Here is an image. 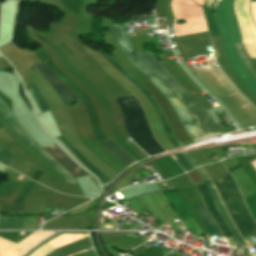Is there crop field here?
Segmentation results:
<instances>
[{
	"mask_svg": "<svg viewBox=\"0 0 256 256\" xmlns=\"http://www.w3.org/2000/svg\"><path fill=\"white\" fill-rule=\"evenodd\" d=\"M43 149L58 161L71 175L86 174L56 144L43 147Z\"/></svg>",
	"mask_w": 256,
	"mask_h": 256,
	"instance_id": "crop-field-9",
	"label": "crop field"
},
{
	"mask_svg": "<svg viewBox=\"0 0 256 256\" xmlns=\"http://www.w3.org/2000/svg\"><path fill=\"white\" fill-rule=\"evenodd\" d=\"M233 2L234 0H218L214 10V20L217 24L230 68L256 98V80L241 61L234 46V44L242 43V41L233 13Z\"/></svg>",
	"mask_w": 256,
	"mask_h": 256,
	"instance_id": "crop-field-1",
	"label": "crop field"
},
{
	"mask_svg": "<svg viewBox=\"0 0 256 256\" xmlns=\"http://www.w3.org/2000/svg\"><path fill=\"white\" fill-rule=\"evenodd\" d=\"M100 144L118 161L122 163L126 168L130 165L136 163L130 156H128L113 140H108L104 142H100Z\"/></svg>",
	"mask_w": 256,
	"mask_h": 256,
	"instance_id": "crop-field-13",
	"label": "crop field"
},
{
	"mask_svg": "<svg viewBox=\"0 0 256 256\" xmlns=\"http://www.w3.org/2000/svg\"><path fill=\"white\" fill-rule=\"evenodd\" d=\"M194 207H195V210L198 213V215L201 217V219L205 223V225H207L211 235H217L218 236V234H219V236L223 237V235L221 234L218 227L215 228V230L217 231L218 234L214 230L213 227H215L217 225H216L215 221L212 219V217L210 216V214H209L208 210L205 208V206L203 204H201V205H196Z\"/></svg>",
	"mask_w": 256,
	"mask_h": 256,
	"instance_id": "crop-field-14",
	"label": "crop field"
},
{
	"mask_svg": "<svg viewBox=\"0 0 256 256\" xmlns=\"http://www.w3.org/2000/svg\"><path fill=\"white\" fill-rule=\"evenodd\" d=\"M236 46H237V49H238L243 61L245 62V64L248 66V68L251 70V72L256 77V68H255L254 64L252 63V61L250 60L243 44H239V45H236Z\"/></svg>",
	"mask_w": 256,
	"mask_h": 256,
	"instance_id": "crop-field-17",
	"label": "crop field"
},
{
	"mask_svg": "<svg viewBox=\"0 0 256 256\" xmlns=\"http://www.w3.org/2000/svg\"><path fill=\"white\" fill-rule=\"evenodd\" d=\"M182 154L191 162L194 168L200 166L189 152H182Z\"/></svg>",
	"mask_w": 256,
	"mask_h": 256,
	"instance_id": "crop-field-21",
	"label": "crop field"
},
{
	"mask_svg": "<svg viewBox=\"0 0 256 256\" xmlns=\"http://www.w3.org/2000/svg\"><path fill=\"white\" fill-rule=\"evenodd\" d=\"M104 57H106L117 69H119L125 76H127L131 81H133L137 86L140 87V89L145 93V95L148 97V99L152 102L154 108L156 109L159 117L161 118L164 128L172 141V143L177 147H182L181 143L178 141V139L175 137L170 125L168 124L164 114L160 110L158 104L155 102L151 94L135 79L133 78L124 68H122L119 63L113 59L110 55L102 54Z\"/></svg>",
	"mask_w": 256,
	"mask_h": 256,
	"instance_id": "crop-field-6",
	"label": "crop field"
},
{
	"mask_svg": "<svg viewBox=\"0 0 256 256\" xmlns=\"http://www.w3.org/2000/svg\"><path fill=\"white\" fill-rule=\"evenodd\" d=\"M14 158L15 157H13L8 152H6V151H4L3 149L0 148V162L1 163L8 166Z\"/></svg>",
	"mask_w": 256,
	"mask_h": 256,
	"instance_id": "crop-field-19",
	"label": "crop field"
},
{
	"mask_svg": "<svg viewBox=\"0 0 256 256\" xmlns=\"http://www.w3.org/2000/svg\"><path fill=\"white\" fill-rule=\"evenodd\" d=\"M0 111L4 115L5 119L15 118L11 110L6 106L3 100L0 98Z\"/></svg>",
	"mask_w": 256,
	"mask_h": 256,
	"instance_id": "crop-field-20",
	"label": "crop field"
},
{
	"mask_svg": "<svg viewBox=\"0 0 256 256\" xmlns=\"http://www.w3.org/2000/svg\"><path fill=\"white\" fill-rule=\"evenodd\" d=\"M0 128H2L1 125H0Z\"/></svg>",
	"mask_w": 256,
	"mask_h": 256,
	"instance_id": "crop-field-24",
	"label": "crop field"
},
{
	"mask_svg": "<svg viewBox=\"0 0 256 256\" xmlns=\"http://www.w3.org/2000/svg\"><path fill=\"white\" fill-rule=\"evenodd\" d=\"M173 156L177 159L176 161L184 168L185 171L193 169V166L183 157L181 153L174 154Z\"/></svg>",
	"mask_w": 256,
	"mask_h": 256,
	"instance_id": "crop-field-18",
	"label": "crop field"
},
{
	"mask_svg": "<svg viewBox=\"0 0 256 256\" xmlns=\"http://www.w3.org/2000/svg\"><path fill=\"white\" fill-rule=\"evenodd\" d=\"M115 34L122 52L135 64V66L165 95L177 112L181 122L185 126L192 140L195 142L204 138L197 130L194 120L188 109L166 88L140 61L134 51L128 32V22L124 24H114Z\"/></svg>",
	"mask_w": 256,
	"mask_h": 256,
	"instance_id": "crop-field-3",
	"label": "crop field"
},
{
	"mask_svg": "<svg viewBox=\"0 0 256 256\" xmlns=\"http://www.w3.org/2000/svg\"><path fill=\"white\" fill-rule=\"evenodd\" d=\"M35 66L44 75V77L50 82L51 86L56 90V92L62 98L65 105L70 104L75 98H77L72 93V91L46 67V65L43 62L36 64Z\"/></svg>",
	"mask_w": 256,
	"mask_h": 256,
	"instance_id": "crop-field-8",
	"label": "crop field"
},
{
	"mask_svg": "<svg viewBox=\"0 0 256 256\" xmlns=\"http://www.w3.org/2000/svg\"><path fill=\"white\" fill-rule=\"evenodd\" d=\"M7 121L32 149L38 152L43 158H45L53 167H55L63 175L66 182L76 183L73 177L59 163H57L53 158H51L48 154H46L41 148L35 145V142L27 134V132L21 127V125L17 122V120H7Z\"/></svg>",
	"mask_w": 256,
	"mask_h": 256,
	"instance_id": "crop-field-7",
	"label": "crop field"
},
{
	"mask_svg": "<svg viewBox=\"0 0 256 256\" xmlns=\"http://www.w3.org/2000/svg\"><path fill=\"white\" fill-rule=\"evenodd\" d=\"M115 100L122 111L130 138L149 156L164 152L165 150L154 139L138 100L133 95L117 97Z\"/></svg>",
	"mask_w": 256,
	"mask_h": 256,
	"instance_id": "crop-field-4",
	"label": "crop field"
},
{
	"mask_svg": "<svg viewBox=\"0 0 256 256\" xmlns=\"http://www.w3.org/2000/svg\"><path fill=\"white\" fill-rule=\"evenodd\" d=\"M208 190L210 191L213 199H214V202L220 212V214L222 215L223 219L225 220L227 226L229 227V229L231 230L233 236L236 238V240L238 241L239 243V246H243V245H246L243 241V239L241 238V236L239 235V233L237 232L236 228L234 227V225L232 224L229 216H228V213L224 207V205L222 204L213 184L211 183V181L205 183ZM244 247H247V246H243L241 248H244Z\"/></svg>",
	"mask_w": 256,
	"mask_h": 256,
	"instance_id": "crop-field-10",
	"label": "crop field"
},
{
	"mask_svg": "<svg viewBox=\"0 0 256 256\" xmlns=\"http://www.w3.org/2000/svg\"><path fill=\"white\" fill-rule=\"evenodd\" d=\"M196 171L198 172V174L200 175L201 179L203 181L208 180V177L206 176V174L203 172V170L201 169V167L196 168Z\"/></svg>",
	"mask_w": 256,
	"mask_h": 256,
	"instance_id": "crop-field-22",
	"label": "crop field"
},
{
	"mask_svg": "<svg viewBox=\"0 0 256 256\" xmlns=\"http://www.w3.org/2000/svg\"><path fill=\"white\" fill-rule=\"evenodd\" d=\"M28 90L30 91L33 98L37 102L41 112L49 109L46 102L44 101L43 97L40 95L38 89L36 88V86L34 85V83L31 80H30Z\"/></svg>",
	"mask_w": 256,
	"mask_h": 256,
	"instance_id": "crop-field-16",
	"label": "crop field"
},
{
	"mask_svg": "<svg viewBox=\"0 0 256 256\" xmlns=\"http://www.w3.org/2000/svg\"><path fill=\"white\" fill-rule=\"evenodd\" d=\"M64 146L70 150L74 155L78 157V159L81 161V163L89 168L91 171H93L97 177L102 181L103 184L109 182L108 178L103 175L100 171H98L95 167H93L75 148H73L67 141H65L62 137L58 138Z\"/></svg>",
	"mask_w": 256,
	"mask_h": 256,
	"instance_id": "crop-field-15",
	"label": "crop field"
},
{
	"mask_svg": "<svg viewBox=\"0 0 256 256\" xmlns=\"http://www.w3.org/2000/svg\"><path fill=\"white\" fill-rule=\"evenodd\" d=\"M142 61L149 69L177 96L187 92L177 80L159 62L155 53L138 52ZM180 100L194 116L200 132L204 137L218 134L219 131L205 108L189 93L179 96Z\"/></svg>",
	"mask_w": 256,
	"mask_h": 256,
	"instance_id": "crop-field-2",
	"label": "crop field"
},
{
	"mask_svg": "<svg viewBox=\"0 0 256 256\" xmlns=\"http://www.w3.org/2000/svg\"><path fill=\"white\" fill-rule=\"evenodd\" d=\"M85 251H88V250L80 251V252H78V253L85 252ZM76 254H77V253H76ZM73 255H74V254H73ZM70 256H72V255H70Z\"/></svg>",
	"mask_w": 256,
	"mask_h": 256,
	"instance_id": "crop-field-23",
	"label": "crop field"
},
{
	"mask_svg": "<svg viewBox=\"0 0 256 256\" xmlns=\"http://www.w3.org/2000/svg\"><path fill=\"white\" fill-rule=\"evenodd\" d=\"M213 183L242 237L256 233V225L232 176L227 173L213 180Z\"/></svg>",
	"mask_w": 256,
	"mask_h": 256,
	"instance_id": "crop-field-5",
	"label": "crop field"
},
{
	"mask_svg": "<svg viewBox=\"0 0 256 256\" xmlns=\"http://www.w3.org/2000/svg\"><path fill=\"white\" fill-rule=\"evenodd\" d=\"M89 235H64L60 239L44 246L39 251H37L32 256H46L48 253L52 252L53 250L65 246L67 244L73 243L77 240L83 239L88 237Z\"/></svg>",
	"mask_w": 256,
	"mask_h": 256,
	"instance_id": "crop-field-12",
	"label": "crop field"
},
{
	"mask_svg": "<svg viewBox=\"0 0 256 256\" xmlns=\"http://www.w3.org/2000/svg\"><path fill=\"white\" fill-rule=\"evenodd\" d=\"M198 191L200 192L207 208L210 210L212 216L214 217L215 221L217 222V224L219 225L220 229L222 230L224 236L226 235V233L229 231L224 220L222 219V217L220 216V214L218 213L210 193L208 192V190L206 189L205 185H200L197 186Z\"/></svg>",
	"mask_w": 256,
	"mask_h": 256,
	"instance_id": "crop-field-11",
	"label": "crop field"
}]
</instances>
